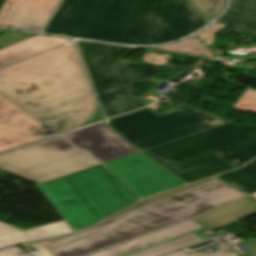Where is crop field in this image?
Masks as SVG:
<instances>
[{
  "label": "crop field",
  "mask_w": 256,
  "mask_h": 256,
  "mask_svg": "<svg viewBox=\"0 0 256 256\" xmlns=\"http://www.w3.org/2000/svg\"><path fill=\"white\" fill-rule=\"evenodd\" d=\"M208 22L189 0H63L43 32L154 44L183 37Z\"/></svg>",
  "instance_id": "8a807250"
},
{
  "label": "crop field",
  "mask_w": 256,
  "mask_h": 256,
  "mask_svg": "<svg viewBox=\"0 0 256 256\" xmlns=\"http://www.w3.org/2000/svg\"><path fill=\"white\" fill-rule=\"evenodd\" d=\"M97 163L61 136L0 155V170L34 184L65 176Z\"/></svg>",
  "instance_id": "d8731c3e"
},
{
  "label": "crop field",
  "mask_w": 256,
  "mask_h": 256,
  "mask_svg": "<svg viewBox=\"0 0 256 256\" xmlns=\"http://www.w3.org/2000/svg\"><path fill=\"white\" fill-rule=\"evenodd\" d=\"M58 1L6 0L0 10V25L41 31Z\"/></svg>",
  "instance_id": "22f410ed"
},
{
  "label": "crop field",
  "mask_w": 256,
  "mask_h": 256,
  "mask_svg": "<svg viewBox=\"0 0 256 256\" xmlns=\"http://www.w3.org/2000/svg\"><path fill=\"white\" fill-rule=\"evenodd\" d=\"M218 22L239 26L251 34H256V0H233Z\"/></svg>",
  "instance_id": "733c2abd"
},
{
  "label": "crop field",
  "mask_w": 256,
  "mask_h": 256,
  "mask_svg": "<svg viewBox=\"0 0 256 256\" xmlns=\"http://www.w3.org/2000/svg\"><path fill=\"white\" fill-rule=\"evenodd\" d=\"M89 43H90V42L78 41L79 46H81V45H85V44H89Z\"/></svg>",
  "instance_id": "750c4746"
},
{
  "label": "crop field",
  "mask_w": 256,
  "mask_h": 256,
  "mask_svg": "<svg viewBox=\"0 0 256 256\" xmlns=\"http://www.w3.org/2000/svg\"><path fill=\"white\" fill-rule=\"evenodd\" d=\"M158 48L162 50H169V51H177V52H185V53H193L199 54L204 56L214 57V53L207 49L201 42H199L193 36L187 38L179 43L168 44L159 47H152Z\"/></svg>",
  "instance_id": "214f88e0"
},
{
  "label": "crop field",
  "mask_w": 256,
  "mask_h": 256,
  "mask_svg": "<svg viewBox=\"0 0 256 256\" xmlns=\"http://www.w3.org/2000/svg\"><path fill=\"white\" fill-rule=\"evenodd\" d=\"M254 211H256V198L249 195L193 220L213 230Z\"/></svg>",
  "instance_id": "d9b57169"
},
{
  "label": "crop field",
  "mask_w": 256,
  "mask_h": 256,
  "mask_svg": "<svg viewBox=\"0 0 256 256\" xmlns=\"http://www.w3.org/2000/svg\"><path fill=\"white\" fill-rule=\"evenodd\" d=\"M226 1L227 0H193L194 4L211 20L219 14Z\"/></svg>",
  "instance_id": "92a150f3"
},
{
  "label": "crop field",
  "mask_w": 256,
  "mask_h": 256,
  "mask_svg": "<svg viewBox=\"0 0 256 256\" xmlns=\"http://www.w3.org/2000/svg\"><path fill=\"white\" fill-rule=\"evenodd\" d=\"M37 186L74 232L137 201L121 179L100 165Z\"/></svg>",
  "instance_id": "f4fd0767"
},
{
  "label": "crop field",
  "mask_w": 256,
  "mask_h": 256,
  "mask_svg": "<svg viewBox=\"0 0 256 256\" xmlns=\"http://www.w3.org/2000/svg\"><path fill=\"white\" fill-rule=\"evenodd\" d=\"M46 130L49 129L0 95V151L47 137L42 134Z\"/></svg>",
  "instance_id": "d1516ede"
},
{
  "label": "crop field",
  "mask_w": 256,
  "mask_h": 256,
  "mask_svg": "<svg viewBox=\"0 0 256 256\" xmlns=\"http://www.w3.org/2000/svg\"><path fill=\"white\" fill-rule=\"evenodd\" d=\"M227 122L185 105L160 114L148 107L103 123L144 150Z\"/></svg>",
  "instance_id": "e52e79f7"
},
{
  "label": "crop field",
  "mask_w": 256,
  "mask_h": 256,
  "mask_svg": "<svg viewBox=\"0 0 256 256\" xmlns=\"http://www.w3.org/2000/svg\"><path fill=\"white\" fill-rule=\"evenodd\" d=\"M104 117H103V114H102V111H101V108L99 110V112L96 114V116L93 118V120L91 122H89L88 124L90 123H93V122H97V121H100V120H103Z\"/></svg>",
  "instance_id": "d3111659"
},
{
  "label": "crop field",
  "mask_w": 256,
  "mask_h": 256,
  "mask_svg": "<svg viewBox=\"0 0 256 256\" xmlns=\"http://www.w3.org/2000/svg\"><path fill=\"white\" fill-rule=\"evenodd\" d=\"M106 117L146 106L131 92L137 81L147 82L158 66L120 61L136 49L93 43L80 47Z\"/></svg>",
  "instance_id": "dd49c442"
},
{
  "label": "crop field",
  "mask_w": 256,
  "mask_h": 256,
  "mask_svg": "<svg viewBox=\"0 0 256 256\" xmlns=\"http://www.w3.org/2000/svg\"><path fill=\"white\" fill-rule=\"evenodd\" d=\"M0 256H30V255L24 254L19 249L14 247V248H10V249L0 251Z\"/></svg>",
  "instance_id": "730fd06b"
},
{
  "label": "crop field",
  "mask_w": 256,
  "mask_h": 256,
  "mask_svg": "<svg viewBox=\"0 0 256 256\" xmlns=\"http://www.w3.org/2000/svg\"><path fill=\"white\" fill-rule=\"evenodd\" d=\"M0 31H4V30H0ZM4 32H6L4 33L5 36L0 38V49L35 35V34L19 33V32H12V31H4Z\"/></svg>",
  "instance_id": "00972430"
},
{
  "label": "crop field",
  "mask_w": 256,
  "mask_h": 256,
  "mask_svg": "<svg viewBox=\"0 0 256 256\" xmlns=\"http://www.w3.org/2000/svg\"><path fill=\"white\" fill-rule=\"evenodd\" d=\"M67 233L71 231L59 226L57 222L26 231L0 222V248L27 241L55 238Z\"/></svg>",
  "instance_id": "5142ce71"
},
{
  "label": "crop field",
  "mask_w": 256,
  "mask_h": 256,
  "mask_svg": "<svg viewBox=\"0 0 256 256\" xmlns=\"http://www.w3.org/2000/svg\"><path fill=\"white\" fill-rule=\"evenodd\" d=\"M207 60V58L146 49L140 62L195 70Z\"/></svg>",
  "instance_id": "4a817a6b"
},
{
  "label": "crop field",
  "mask_w": 256,
  "mask_h": 256,
  "mask_svg": "<svg viewBox=\"0 0 256 256\" xmlns=\"http://www.w3.org/2000/svg\"><path fill=\"white\" fill-rule=\"evenodd\" d=\"M252 196H254V197H256V193H254V194H251Z\"/></svg>",
  "instance_id": "bd1437ed"
},
{
  "label": "crop field",
  "mask_w": 256,
  "mask_h": 256,
  "mask_svg": "<svg viewBox=\"0 0 256 256\" xmlns=\"http://www.w3.org/2000/svg\"><path fill=\"white\" fill-rule=\"evenodd\" d=\"M216 177L247 195L256 192V160L250 162L241 169Z\"/></svg>",
  "instance_id": "bc2a9ffb"
},
{
  "label": "crop field",
  "mask_w": 256,
  "mask_h": 256,
  "mask_svg": "<svg viewBox=\"0 0 256 256\" xmlns=\"http://www.w3.org/2000/svg\"><path fill=\"white\" fill-rule=\"evenodd\" d=\"M166 256H237L233 250L225 245L223 247H221L217 252L212 253V254H193V253H186L182 250L168 254Z\"/></svg>",
  "instance_id": "a9b5d70f"
},
{
  "label": "crop field",
  "mask_w": 256,
  "mask_h": 256,
  "mask_svg": "<svg viewBox=\"0 0 256 256\" xmlns=\"http://www.w3.org/2000/svg\"><path fill=\"white\" fill-rule=\"evenodd\" d=\"M202 226L187 220L182 223L170 226L157 232L117 245L89 256H127L174 238L186 235L201 229ZM204 241L195 234L191 233L147 250L135 253L130 256H159L198 242Z\"/></svg>",
  "instance_id": "3316defc"
},
{
  "label": "crop field",
  "mask_w": 256,
  "mask_h": 256,
  "mask_svg": "<svg viewBox=\"0 0 256 256\" xmlns=\"http://www.w3.org/2000/svg\"><path fill=\"white\" fill-rule=\"evenodd\" d=\"M244 196L213 177L145 199L92 228L41 244L56 256H86L196 218Z\"/></svg>",
  "instance_id": "34b2d1b8"
},
{
  "label": "crop field",
  "mask_w": 256,
  "mask_h": 256,
  "mask_svg": "<svg viewBox=\"0 0 256 256\" xmlns=\"http://www.w3.org/2000/svg\"><path fill=\"white\" fill-rule=\"evenodd\" d=\"M72 39L37 35L0 50V67L38 54Z\"/></svg>",
  "instance_id": "cbeb9de0"
},
{
  "label": "crop field",
  "mask_w": 256,
  "mask_h": 256,
  "mask_svg": "<svg viewBox=\"0 0 256 256\" xmlns=\"http://www.w3.org/2000/svg\"><path fill=\"white\" fill-rule=\"evenodd\" d=\"M32 245L35 246L39 250V254H36L34 256H55L54 254H52L48 249H46L40 243H35V244H32Z\"/></svg>",
  "instance_id": "eef30255"
},
{
  "label": "crop field",
  "mask_w": 256,
  "mask_h": 256,
  "mask_svg": "<svg viewBox=\"0 0 256 256\" xmlns=\"http://www.w3.org/2000/svg\"><path fill=\"white\" fill-rule=\"evenodd\" d=\"M62 136L99 164L139 152L101 123Z\"/></svg>",
  "instance_id": "28ad6ade"
},
{
  "label": "crop field",
  "mask_w": 256,
  "mask_h": 256,
  "mask_svg": "<svg viewBox=\"0 0 256 256\" xmlns=\"http://www.w3.org/2000/svg\"><path fill=\"white\" fill-rule=\"evenodd\" d=\"M0 92L58 132L84 122L95 106L72 42L0 70Z\"/></svg>",
  "instance_id": "ac0d7876"
},
{
  "label": "crop field",
  "mask_w": 256,
  "mask_h": 256,
  "mask_svg": "<svg viewBox=\"0 0 256 256\" xmlns=\"http://www.w3.org/2000/svg\"><path fill=\"white\" fill-rule=\"evenodd\" d=\"M225 27H226L225 25L215 23L214 25H212L208 29L200 32L197 35L199 36V38L204 40L208 45H213V43L215 41L214 33L220 31L221 29H223Z\"/></svg>",
  "instance_id": "4177f3b9"
},
{
  "label": "crop field",
  "mask_w": 256,
  "mask_h": 256,
  "mask_svg": "<svg viewBox=\"0 0 256 256\" xmlns=\"http://www.w3.org/2000/svg\"><path fill=\"white\" fill-rule=\"evenodd\" d=\"M233 109L256 113V91L247 89Z\"/></svg>",
  "instance_id": "dafd665d"
},
{
  "label": "crop field",
  "mask_w": 256,
  "mask_h": 256,
  "mask_svg": "<svg viewBox=\"0 0 256 256\" xmlns=\"http://www.w3.org/2000/svg\"><path fill=\"white\" fill-rule=\"evenodd\" d=\"M248 254L244 256H256V242L246 243Z\"/></svg>",
  "instance_id": "ae1a2a85"
},
{
  "label": "crop field",
  "mask_w": 256,
  "mask_h": 256,
  "mask_svg": "<svg viewBox=\"0 0 256 256\" xmlns=\"http://www.w3.org/2000/svg\"><path fill=\"white\" fill-rule=\"evenodd\" d=\"M101 165L121 178L138 200L185 185L141 152Z\"/></svg>",
  "instance_id": "5a996713"
},
{
  "label": "crop field",
  "mask_w": 256,
  "mask_h": 256,
  "mask_svg": "<svg viewBox=\"0 0 256 256\" xmlns=\"http://www.w3.org/2000/svg\"><path fill=\"white\" fill-rule=\"evenodd\" d=\"M222 150L248 160L256 157V125L230 122L144 152L190 183L236 168L215 154Z\"/></svg>",
  "instance_id": "412701ff"
}]
</instances>
